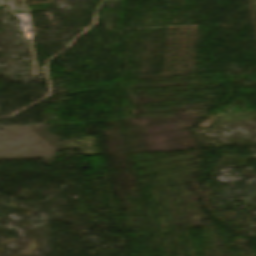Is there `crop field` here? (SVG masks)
<instances>
[{"mask_svg": "<svg viewBox=\"0 0 256 256\" xmlns=\"http://www.w3.org/2000/svg\"><path fill=\"white\" fill-rule=\"evenodd\" d=\"M12 3L17 7H20L22 4H27L26 0H12Z\"/></svg>", "mask_w": 256, "mask_h": 256, "instance_id": "8a807250", "label": "crop field"}]
</instances>
